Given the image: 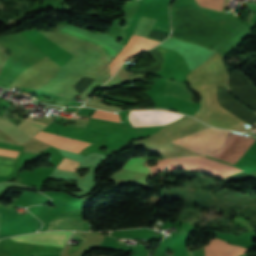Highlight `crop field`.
I'll list each match as a JSON object with an SVG mask.
<instances>
[{"label": "crop field", "mask_w": 256, "mask_h": 256, "mask_svg": "<svg viewBox=\"0 0 256 256\" xmlns=\"http://www.w3.org/2000/svg\"><path fill=\"white\" fill-rule=\"evenodd\" d=\"M166 167H194V168L208 171V172L218 174V175H221L224 177H227L235 172L243 171L239 168L215 161L213 159H210V158H207L204 156L176 157V158L160 159L157 166H152L150 168L152 169V174H154L159 169L166 168ZM194 168H167V169H194ZM167 169H162V170H167ZM197 169H195V170H197ZM162 170H160V171H162ZM158 172H156L152 176L154 177ZM208 172H206V173H208ZM211 173H209V174H211ZM214 174H212V175H214ZM215 176H217V175H215ZM221 176H218V177H221ZM224 177H221V178H224Z\"/></svg>", "instance_id": "1"}, {"label": "crop field", "mask_w": 256, "mask_h": 256, "mask_svg": "<svg viewBox=\"0 0 256 256\" xmlns=\"http://www.w3.org/2000/svg\"><path fill=\"white\" fill-rule=\"evenodd\" d=\"M228 131L207 128L172 142L198 152L202 155L213 154L220 150Z\"/></svg>", "instance_id": "2"}, {"label": "crop field", "mask_w": 256, "mask_h": 256, "mask_svg": "<svg viewBox=\"0 0 256 256\" xmlns=\"http://www.w3.org/2000/svg\"><path fill=\"white\" fill-rule=\"evenodd\" d=\"M183 115L165 110L131 111L129 121L133 127L167 125Z\"/></svg>", "instance_id": "3"}, {"label": "crop field", "mask_w": 256, "mask_h": 256, "mask_svg": "<svg viewBox=\"0 0 256 256\" xmlns=\"http://www.w3.org/2000/svg\"><path fill=\"white\" fill-rule=\"evenodd\" d=\"M254 141L255 139L245 135L232 133L226 137L222 150L209 156L235 164Z\"/></svg>", "instance_id": "4"}, {"label": "crop field", "mask_w": 256, "mask_h": 256, "mask_svg": "<svg viewBox=\"0 0 256 256\" xmlns=\"http://www.w3.org/2000/svg\"><path fill=\"white\" fill-rule=\"evenodd\" d=\"M138 38H139L138 36L132 35L131 39L129 40L127 45L123 48V50L120 52V54L110 63V68H112L123 56H125L128 53V51L135 44V42L138 40ZM148 40H149L148 38L140 37V39L136 42V44L133 46V48L130 50V52L111 69V74L113 75L114 72L120 67V65L124 61L139 54V52L142 50V48L145 46V44L148 42ZM158 43H160V42L150 39L149 42L146 44V46L143 48V50L141 52L153 47L154 45H156Z\"/></svg>", "instance_id": "5"}, {"label": "crop field", "mask_w": 256, "mask_h": 256, "mask_svg": "<svg viewBox=\"0 0 256 256\" xmlns=\"http://www.w3.org/2000/svg\"><path fill=\"white\" fill-rule=\"evenodd\" d=\"M72 232L65 231H55V232H45L37 233L19 237H13L11 239L22 241L26 243L33 244H48L58 247H63Z\"/></svg>", "instance_id": "6"}, {"label": "crop field", "mask_w": 256, "mask_h": 256, "mask_svg": "<svg viewBox=\"0 0 256 256\" xmlns=\"http://www.w3.org/2000/svg\"><path fill=\"white\" fill-rule=\"evenodd\" d=\"M34 137L50 145H53L57 148L76 152V153H79L80 150L90 145L89 143H85L82 141L60 137L54 134H49L44 132H39Z\"/></svg>", "instance_id": "7"}, {"label": "crop field", "mask_w": 256, "mask_h": 256, "mask_svg": "<svg viewBox=\"0 0 256 256\" xmlns=\"http://www.w3.org/2000/svg\"><path fill=\"white\" fill-rule=\"evenodd\" d=\"M241 248H243V247L230 245V244H228L224 241L218 240L216 238L210 240L209 244L204 246L205 256H216V255L230 254V253H232L236 250H239ZM246 251H247V249L243 248L237 252H234L230 255H225V256H237Z\"/></svg>", "instance_id": "8"}, {"label": "crop field", "mask_w": 256, "mask_h": 256, "mask_svg": "<svg viewBox=\"0 0 256 256\" xmlns=\"http://www.w3.org/2000/svg\"><path fill=\"white\" fill-rule=\"evenodd\" d=\"M80 217H55L49 221L48 230H84L83 222Z\"/></svg>", "instance_id": "9"}, {"label": "crop field", "mask_w": 256, "mask_h": 256, "mask_svg": "<svg viewBox=\"0 0 256 256\" xmlns=\"http://www.w3.org/2000/svg\"><path fill=\"white\" fill-rule=\"evenodd\" d=\"M61 33L73 36L75 38L83 39V40H85L87 42H91V43L99 46L102 50H104L107 53L108 61H110L117 54V52L115 50H113L111 47H109L108 45H106V44H104V43H102V42H100L98 40H95L93 38L84 36L82 34L70 31V30L65 29V28L62 29Z\"/></svg>", "instance_id": "10"}, {"label": "crop field", "mask_w": 256, "mask_h": 256, "mask_svg": "<svg viewBox=\"0 0 256 256\" xmlns=\"http://www.w3.org/2000/svg\"><path fill=\"white\" fill-rule=\"evenodd\" d=\"M0 129L5 131L13 139L21 143L31 138L20 129H18L16 126L3 119L0 120Z\"/></svg>", "instance_id": "11"}, {"label": "crop field", "mask_w": 256, "mask_h": 256, "mask_svg": "<svg viewBox=\"0 0 256 256\" xmlns=\"http://www.w3.org/2000/svg\"><path fill=\"white\" fill-rule=\"evenodd\" d=\"M147 162L148 160L134 158L129 160L126 166L122 168L150 174V171L146 165Z\"/></svg>", "instance_id": "12"}, {"label": "crop field", "mask_w": 256, "mask_h": 256, "mask_svg": "<svg viewBox=\"0 0 256 256\" xmlns=\"http://www.w3.org/2000/svg\"><path fill=\"white\" fill-rule=\"evenodd\" d=\"M196 1L203 7H207V8L214 9L221 12L223 11L227 3V0H196Z\"/></svg>", "instance_id": "13"}, {"label": "crop field", "mask_w": 256, "mask_h": 256, "mask_svg": "<svg viewBox=\"0 0 256 256\" xmlns=\"http://www.w3.org/2000/svg\"><path fill=\"white\" fill-rule=\"evenodd\" d=\"M28 120V119H27ZM27 120H24L22 123L19 124V128L23 129L25 132H27L28 134L30 135H35L40 129H42L43 125H40V124H37V123H34V122H31V121H27Z\"/></svg>", "instance_id": "14"}, {"label": "crop field", "mask_w": 256, "mask_h": 256, "mask_svg": "<svg viewBox=\"0 0 256 256\" xmlns=\"http://www.w3.org/2000/svg\"><path fill=\"white\" fill-rule=\"evenodd\" d=\"M92 117L120 122V115L117 113H107L96 110Z\"/></svg>", "instance_id": "15"}, {"label": "crop field", "mask_w": 256, "mask_h": 256, "mask_svg": "<svg viewBox=\"0 0 256 256\" xmlns=\"http://www.w3.org/2000/svg\"><path fill=\"white\" fill-rule=\"evenodd\" d=\"M79 162L71 161L66 158L62 160V162L58 165L57 169L64 170V171H75L78 167Z\"/></svg>", "instance_id": "16"}, {"label": "crop field", "mask_w": 256, "mask_h": 256, "mask_svg": "<svg viewBox=\"0 0 256 256\" xmlns=\"http://www.w3.org/2000/svg\"><path fill=\"white\" fill-rule=\"evenodd\" d=\"M85 106H91V107H96V108H102V109H106V110H112V111H115V110H120L122 108L120 107H116V106H107L97 100H89L87 101L86 105Z\"/></svg>", "instance_id": "17"}, {"label": "crop field", "mask_w": 256, "mask_h": 256, "mask_svg": "<svg viewBox=\"0 0 256 256\" xmlns=\"http://www.w3.org/2000/svg\"><path fill=\"white\" fill-rule=\"evenodd\" d=\"M167 36H168V34H164V33H160V32H156V31L151 30L148 37L156 39V40L163 41Z\"/></svg>", "instance_id": "18"}]
</instances>
